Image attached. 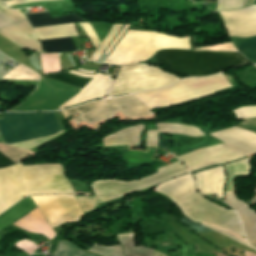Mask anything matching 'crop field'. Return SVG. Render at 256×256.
Here are the masks:
<instances>
[{
  "mask_svg": "<svg viewBox=\"0 0 256 256\" xmlns=\"http://www.w3.org/2000/svg\"><path fill=\"white\" fill-rule=\"evenodd\" d=\"M65 193L72 190L58 165L22 167L19 163L0 169V214L29 195Z\"/></svg>",
  "mask_w": 256,
  "mask_h": 256,
  "instance_id": "crop-field-1",
  "label": "crop field"
},
{
  "mask_svg": "<svg viewBox=\"0 0 256 256\" xmlns=\"http://www.w3.org/2000/svg\"><path fill=\"white\" fill-rule=\"evenodd\" d=\"M240 53L160 50L156 53V64L179 75L203 76L247 64Z\"/></svg>",
  "mask_w": 256,
  "mask_h": 256,
  "instance_id": "crop-field-2",
  "label": "crop field"
},
{
  "mask_svg": "<svg viewBox=\"0 0 256 256\" xmlns=\"http://www.w3.org/2000/svg\"><path fill=\"white\" fill-rule=\"evenodd\" d=\"M35 142L62 132L53 112L20 113ZM19 113H3L0 119V143L15 145L34 142Z\"/></svg>",
  "mask_w": 256,
  "mask_h": 256,
  "instance_id": "crop-field-3",
  "label": "crop field"
},
{
  "mask_svg": "<svg viewBox=\"0 0 256 256\" xmlns=\"http://www.w3.org/2000/svg\"><path fill=\"white\" fill-rule=\"evenodd\" d=\"M230 87L222 73L203 78H187L165 89L133 94L149 109L183 103L189 99L200 97Z\"/></svg>",
  "mask_w": 256,
  "mask_h": 256,
  "instance_id": "crop-field-4",
  "label": "crop field"
},
{
  "mask_svg": "<svg viewBox=\"0 0 256 256\" xmlns=\"http://www.w3.org/2000/svg\"><path fill=\"white\" fill-rule=\"evenodd\" d=\"M125 117H145L154 115L143 106L133 95L86 103L80 107L61 111L64 118L79 113L73 121L77 124L86 121L90 124L109 119L118 111ZM89 124V125H90Z\"/></svg>",
  "mask_w": 256,
  "mask_h": 256,
  "instance_id": "crop-field-5",
  "label": "crop field"
},
{
  "mask_svg": "<svg viewBox=\"0 0 256 256\" xmlns=\"http://www.w3.org/2000/svg\"><path fill=\"white\" fill-rule=\"evenodd\" d=\"M145 65L122 67L110 90V97L132 93ZM179 80V77L146 65L133 93L161 88Z\"/></svg>",
  "mask_w": 256,
  "mask_h": 256,
  "instance_id": "crop-field-6",
  "label": "crop field"
},
{
  "mask_svg": "<svg viewBox=\"0 0 256 256\" xmlns=\"http://www.w3.org/2000/svg\"><path fill=\"white\" fill-rule=\"evenodd\" d=\"M155 174L146 178L125 182L116 179L92 182L91 185L100 204L109 203L128 193L152 186L160 181L173 178L188 170L179 161L156 169ZM119 199V198H118Z\"/></svg>",
  "mask_w": 256,
  "mask_h": 256,
  "instance_id": "crop-field-7",
  "label": "crop field"
},
{
  "mask_svg": "<svg viewBox=\"0 0 256 256\" xmlns=\"http://www.w3.org/2000/svg\"><path fill=\"white\" fill-rule=\"evenodd\" d=\"M176 204L194 222L216 224L243 236L239 218L233 210L221 208L197 193Z\"/></svg>",
  "mask_w": 256,
  "mask_h": 256,
  "instance_id": "crop-field-8",
  "label": "crop field"
},
{
  "mask_svg": "<svg viewBox=\"0 0 256 256\" xmlns=\"http://www.w3.org/2000/svg\"><path fill=\"white\" fill-rule=\"evenodd\" d=\"M155 33L128 30L104 62L114 65L138 63L154 53Z\"/></svg>",
  "mask_w": 256,
  "mask_h": 256,
  "instance_id": "crop-field-9",
  "label": "crop field"
},
{
  "mask_svg": "<svg viewBox=\"0 0 256 256\" xmlns=\"http://www.w3.org/2000/svg\"><path fill=\"white\" fill-rule=\"evenodd\" d=\"M51 227L66 222L79 221L83 216L74 198L69 195L31 197Z\"/></svg>",
  "mask_w": 256,
  "mask_h": 256,
  "instance_id": "crop-field-10",
  "label": "crop field"
},
{
  "mask_svg": "<svg viewBox=\"0 0 256 256\" xmlns=\"http://www.w3.org/2000/svg\"><path fill=\"white\" fill-rule=\"evenodd\" d=\"M246 157L229 146L219 142L194 151L178 159L191 171L215 164H224Z\"/></svg>",
  "mask_w": 256,
  "mask_h": 256,
  "instance_id": "crop-field-11",
  "label": "crop field"
},
{
  "mask_svg": "<svg viewBox=\"0 0 256 256\" xmlns=\"http://www.w3.org/2000/svg\"><path fill=\"white\" fill-rule=\"evenodd\" d=\"M31 28L27 20L18 22L0 10L1 35L19 47L43 52Z\"/></svg>",
  "mask_w": 256,
  "mask_h": 256,
  "instance_id": "crop-field-12",
  "label": "crop field"
},
{
  "mask_svg": "<svg viewBox=\"0 0 256 256\" xmlns=\"http://www.w3.org/2000/svg\"><path fill=\"white\" fill-rule=\"evenodd\" d=\"M220 13L229 36L247 38L256 35V5Z\"/></svg>",
  "mask_w": 256,
  "mask_h": 256,
  "instance_id": "crop-field-13",
  "label": "crop field"
},
{
  "mask_svg": "<svg viewBox=\"0 0 256 256\" xmlns=\"http://www.w3.org/2000/svg\"><path fill=\"white\" fill-rule=\"evenodd\" d=\"M75 74L77 76L90 78L93 77L92 80L87 83V85L79 92L78 95L73 97L72 99L68 100L61 106L60 108H65L68 106L80 104L84 101L103 97L104 94L108 93V88L110 86L111 80L109 76L102 75V74H96V75H84L81 73H77L74 71L68 72Z\"/></svg>",
  "mask_w": 256,
  "mask_h": 256,
  "instance_id": "crop-field-14",
  "label": "crop field"
},
{
  "mask_svg": "<svg viewBox=\"0 0 256 256\" xmlns=\"http://www.w3.org/2000/svg\"><path fill=\"white\" fill-rule=\"evenodd\" d=\"M211 136L248 155L256 152V134L241 128H230Z\"/></svg>",
  "mask_w": 256,
  "mask_h": 256,
  "instance_id": "crop-field-15",
  "label": "crop field"
},
{
  "mask_svg": "<svg viewBox=\"0 0 256 256\" xmlns=\"http://www.w3.org/2000/svg\"><path fill=\"white\" fill-rule=\"evenodd\" d=\"M193 176L196 180V190L202 195L217 193V198H223L226 177L221 166Z\"/></svg>",
  "mask_w": 256,
  "mask_h": 256,
  "instance_id": "crop-field-16",
  "label": "crop field"
},
{
  "mask_svg": "<svg viewBox=\"0 0 256 256\" xmlns=\"http://www.w3.org/2000/svg\"><path fill=\"white\" fill-rule=\"evenodd\" d=\"M194 180L188 175L180 176L158 185L154 190L164 193L175 203L196 193Z\"/></svg>",
  "mask_w": 256,
  "mask_h": 256,
  "instance_id": "crop-field-17",
  "label": "crop field"
},
{
  "mask_svg": "<svg viewBox=\"0 0 256 256\" xmlns=\"http://www.w3.org/2000/svg\"><path fill=\"white\" fill-rule=\"evenodd\" d=\"M144 127L142 124L132 127H127L116 133L102 138L104 147H117V146H135L139 145Z\"/></svg>",
  "mask_w": 256,
  "mask_h": 256,
  "instance_id": "crop-field-18",
  "label": "crop field"
},
{
  "mask_svg": "<svg viewBox=\"0 0 256 256\" xmlns=\"http://www.w3.org/2000/svg\"><path fill=\"white\" fill-rule=\"evenodd\" d=\"M226 201L238 211L242 218L249 243L256 246V213L251 207L239 201L235 194H227Z\"/></svg>",
  "mask_w": 256,
  "mask_h": 256,
  "instance_id": "crop-field-19",
  "label": "crop field"
},
{
  "mask_svg": "<svg viewBox=\"0 0 256 256\" xmlns=\"http://www.w3.org/2000/svg\"><path fill=\"white\" fill-rule=\"evenodd\" d=\"M157 131H145V146L158 149V132L165 131L171 133L184 134L194 137L203 136L204 133L181 124L164 122L160 124H156Z\"/></svg>",
  "mask_w": 256,
  "mask_h": 256,
  "instance_id": "crop-field-20",
  "label": "crop field"
},
{
  "mask_svg": "<svg viewBox=\"0 0 256 256\" xmlns=\"http://www.w3.org/2000/svg\"><path fill=\"white\" fill-rule=\"evenodd\" d=\"M34 207L36 206L33 200L28 197L8 209L6 212L0 215V231L29 212Z\"/></svg>",
  "mask_w": 256,
  "mask_h": 256,
  "instance_id": "crop-field-21",
  "label": "crop field"
},
{
  "mask_svg": "<svg viewBox=\"0 0 256 256\" xmlns=\"http://www.w3.org/2000/svg\"><path fill=\"white\" fill-rule=\"evenodd\" d=\"M32 27L37 26H47L51 24H63L69 22H80L83 21L77 15H69L61 18L51 19L48 13H38V14H25Z\"/></svg>",
  "mask_w": 256,
  "mask_h": 256,
  "instance_id": "crop-field-22",
  "label": "crop field"
},
{
  "mask_svg": "<svg viewBox=\"0 0 256 256\" xmlns=\"http://www.w3.org/2000/svg\"><path fill=\"white\" fill-rule=\"evenodd\" d=\"M33 30L40 40L67 36H78L72 24L35 28Z\"/></svg>",
  "mask_w": 256,
  "mask_h": 256,
  "instance_id": "crop-field-23",
  "label": "crop field"
},
{
  "mask_svg": "<svg viewBox=\"0 0 256 256\" xmlns=\"http://www.w3.org/2000/svg\"><path fill=\"white\" fill-rule=\"evenodd\" d=\"M179 220L182 221L185 226H187L188 228H190L191 230H193L195 232H215V231H217V232H219V233H221V234H223V235H225V236H227V237H229V238H231V239H233V240H235V241H237V242H239V243H241V244H243L245 246H248L245 243L243 238H241V237H239V236H237V235H235V234H233V233H231V232H229V231H227V230H225V229H223V228H221L219 226L211 225V224H205L206 226H208V227L212 228L213 230H215V231H213L212 229H210V228L206 227L205 225H203L204 223L203 224H201V223H194L190 219L186 218V216L180 218Z\"/></svg>",
  "mask_w": 256,
  "mask_h": 256,
  "instance_id": "crop-field-24",
  "label": "crop field"
},
{
  "mask_svg": "<svg viewBox=\"0 0 256 256\" xmlns=\"http://www.w3.org/2000/svg\"><path fill=\"white\" fill-rule=\"evenodd\" d=\"M125 256H152V249L134 246V233L117 235Z\"/></svg>",
  "mask_w": 256,
  "mask_h": 256,
  "instance_id": "crop-field-25",
  "label": "crop field"
},
{
  "mask_svg": "<svg viewBox=\"0 0 256 256\" xmlns=\"http://www.w3.org/2000/svg\"><path fill=\"white\" fill-rule=\"evenodd\" d=\"M165 48H182L189 49V37L174 38L163 34L156 33L155 50Z\"/></svg>",
  "mask_w": 256,
  "mask_h": 256,
  "instance_id": "crop-field-26",
  "label": "crop field"
},
{
  "mask_svg": "<svg viewBox=\"0 0 256 256\" xmlns=\"http://www.w3.org/2000/svg\"><path fill=\"white\" fill-rule=\"evenodd\" d=\"M230 39L239 52H242L251 63H256V37L249 39Z\"/></svg>",
  "mask_w": 256,
  "mask_h": 256,
  "instance_id": "crop-field-27",
  "label": "crop field"
},
{
  "mask_svg": "<svg viewBox=\"0 0 256 256\" xmlns=\"http://www.w3.org/2000/svg\"><path fill=\"white\" fill-rule=\"evenodd\" d=\"M228 174L226 193H235L234 176L248 175L246 159L225 165Z\"/></svg>",
  "mask_w": 256,
  "mask_h": 256,
  "instance_id": "crop-field-28",
  "label": "crop field"
},
{
  "mask_svg": "<svg viewBox=\"0 0 256 256\" xmlns=\"http://www.w3.org/2000/svg\"><path fill=\"white\" fill-rule=\"evenodd\" d=\"M45 53L66 52L76 50L71 38L40 41Z\"/></svg>",
  "mask_w": 256,
  "mask_h": 256,
  "instance_id": "crop-field-29",
  "label": "crop field"
},
{
  "mask_svg": "<svg viewBox=\"0 0 256 256\" xmlns=\"http://www.w3.org/2000/svg\"><path fill=\"white\" fill-rule=\"evenodd\" d=\"M71 243L68 241H60L53 253V256H96L94 254L84 252L82 249Z\"/></svg>",
  "mask_w": 256,
  "mask_h": 256,
  "instance_id": "crop-field-30",
  "label": "crop field"
},
{
  "mask_svg": "<svg viewBox=\"0 0 256 256\" xmlns=\"http://www.w3.org/2000/svg\"><path fill=\"white\" fill-rule=\"evenodd\" d=\"M44 77H47L49 79H52L64 84L80 87V88H83L85 84L91 80V79L77 77L68 73H60V74L49 75Z\"/></svg>",
  "mask_w": 256,
  "mask_h": 256,
  "instance_id": "crop-field-31",
  "label": "crop field"
},
{
  "mask_svg": "<svg viewBox=\"0 0 256 256\" xmlns=\"http://www.w3.org/2000/svg\"><path fill=\"white\" fill-rule=\"evenodd\" d=\"M122 24H114L111 30L109 31L108 35L105 37V39L100 43V45L97 47L96 51L93 53V55L88 59V61L96 62L97 59L100 57L101 53L104 51V49L109 45V43L114 39V37L117 35L118 31L120 30Z\"/></svg>",
  "mask_w": 256,
  "mask_h": 256,
  "instance_id": "crop-field-32",
  "label": "crop field"
},
{
  "mask_svg": "<svg viewBox=\"0 0 256 256\" xmlns=\"http://www.w3.org/2000/svg\"><path fill=\"white\" fill-rule=\"evenodd\" d=\"M5 78L33 80V81L39 80V76L37 74H35L33 71L24 67L21 64L17 68H15L9 75H7Z\"/></svg>",
  "mask_w": 256,
  "mask_h": 256,
  "instance_id": "crop-field-33",
  "label": "crop field"
},
{
  "mask_svg": "<svg viewBox=\"0 0 256 256\" xmlns=\"http://www.w3.org/2000/svg\"><path fill=\"white\" fill-rule=\"evenodd\" d=\"M89 251L101 256H123L121 246L103 247L94 244Z\"/></svg>",
  "mask_w": 256,
  "mask_h": 256,
  "instance_id": "crop-field-34",
  "label": "crop field"
},
{
  "mask_svg": "<svg viewBox=\"0 0 256 256\" xmlns=\"http://www.w3.org/2000/svg\"><path fill=\"white\" fill-rule=\"evenodd\" d=\"M243 0H218L217 11L233 10L242 7Z\"/></svg>",
  "mask_w": 256,
  "mask_h": 256,
  "instance_id": "crop-field-35",
  "label": "crop field"
},
{
  "mask_svg": "<svg viewBox=\"0 0 256 256\" xmlns=\"http://www.w3.org/2000/svg\"><path fill=\"white\" fill-rule=\"evenodd\" d=\"M82 211H87L99 207L96 197H76Z\"/></svg>",
  "mask_w": 256,
  "mask_h": 256,
  "instance_id": "crop-field-36",
  "label": "crop field"
},
{
  "mask_svg": "<svg viewBox=\"0 0 256 256\" xmlns=\"http://www.w3.org/2000/svg\"><path fill=\"white\" fill-rule=\"evenodd\" d=\"M239 120L256 118V107H243L234 110Z\"/></svg>",
  "mask_w": 256,
  "mask_h": 256,
  "instance_id": "crop-field-37",
  "label": "crop field"
},
{
  "mask_svg": "<svg viewBox=\"0 0 256 256\" xmlns=\"http://www.w3.org/2000/svg\"><path fill=\"white\" fill-rule=\"evenodd\" d=\"M83 30L86 32L87 36L89 37L94 49H96V47L99 45V40L95 34V32L93 31V29L91 28V26L89 25V23H83V24H79Z\"/></svg>",
  "mask_w": 256,
  "mask_h": 256,
  "instance_id": "crop-field-38",
  "label": "crop field"
},
{
  "mask_svg": "<svg viewBox=\"0 0 256 256\" xmlns=\"http://www.w3.org/2000/svg\"><path fill=\"white\" fill-rule=\"evenodd\" d=\"M0 9L4 12H6L7 14L11 15L12 17H14L15 19L21 21V20H25L24 16L20 13L19 10H10L8 8H6L2 2L0 1Z\"/></svg>",
  "mask_w": 256,
  "mask_h": 256,
  "instance_id": "crop-field-39",
  "label": "crop field"
},
{
  "mask_svg": "<svg viewBox=\"0 0 256 256\" xmlns=\"http://www.w3.org/2000/svg\"><path fill=\"white\" fill-rule=\"evenodd\" d=\"M48 58H49V68L51 71L61 70L59 67L58 54H48Z\"/></svg>",
  "mask_w": 256,
  "mask_h": 256,
  "instance_id": "crop-field-40",
  "label": "crop field"
},
{
  "mask_svg": "<svg viewBox=\"0 0 256 256\" xmlns=\"http://www.w3.org/2000/svg\"><path fill=\"white\" fill-rule=\"evenodd\" d=\"M237 127L248 129L256 133V119H247L240 123Z\"/></svg>",
  "mask_w": 256,
  "mask_h": 256,
  "instance_id": "crop-field-41",
  "label": "crop field"
},
{
  "mask_svg": "<svg viewBox=\"0 0 256 256\" xmlns=\"http://www.w3.org/2000/svg\"><path fill=\"white\" fill-rule=\"evenodd\" d=\"M96 34L98 35L100 41L104 39V37L107 35L104 28L102 27L101 23L93 24L90 23Z\"/></svg>",
  "mask_w": 256,
  "mask_h": 256,
  "instance_id": "crop-field-42",
  "label": "crop field"
},
{
  "mask_svg": "<svg viewBox=\"0 0 256 256\" xmlns=\"http://www.w3.org/2000/svg\"><path fill=\"white\" fill-rule=\"evenodd\" d=\"M37 1H47V0H5V1H3V3L6 6L10 7V6H14V5L37 2Z\"/></svg>",
  "mask_w": 256,
  "mask_h": 256,
  "instance_id": "crop-field-43",
  "label": "crop field"
},
{
  "mask_svg": "<svg viewBox=\"0 0 256 256\" xmlns=\"http://www.w3.org/2000/svg\"><path fill=\"white\" fill-rule=\"evenodd\" d=\"M14 163H12L10 160H8L5 156H3L0 153V168L1 167H6V166H10L13 165Z\"/></svg>",
  "mask_w": 256,
  "mask_h": 256,
  "instance_id": "crop-field-44",
  "label": "crop field"
},
{
  "mask_svg": "<svg viewBox=\"0 0 256 256\" xmlns=\"http://www.w3.org/2000/svg\"><path fill=\"white\" fill-rule=\"evenodd\" d=\"M255 195L253 198L250 199L251 204H256V186L254 188Z\"/></svg>",
  "mask_w": 256,
  "mask_h": 256,
  "instance_id": "crop-field-45",
  "label": "crop field"
},
{
  "mask_svg": "<svg viewBox=\"0 0 256 256\" xmlns=\"http://www.w3.org/2000/svg\"><path fill=\"white\" fill-rule=\"evenodd\" d=\"M254 1L255 0H245L244 7L253 4Z\"/></svg>",
  "mask_w": 256,
  "mask_h": 256,
  "instance_id": "crop-field-46",
  "label": "crop field"
},
{
  "mask_svg": "<svg viewBox=\"0 0 256 256\" xmlns=\"http://www.w3.org/2000/svg\"><path fill=\"white\" fill-rule=\"evenodd\" d=\"M244 256H256V254L244 251Z\"/></svg>",
  "mask_w": 256,
  "mask_h": 256,
  "instance_id": "crop-field-47",
  "label": "crop field"
},
{
  "mask_svg": "<svg viewBox=\"0 0 256 256\" xmlns=\"http://www.w3.org/2000/svg\"><path fill=\"white\" fill-rule=\"evenodd\" d=\"M153 256H165V255H163V254H161V253H159V252L154 250Z\"/></svg>",
  "mask_w": 256,
  "mask_h": 256,
  "instance_id": "crop-field-48",
  "label": "crop field"
},
{
  "mask_svg": "<svg viewBox=\"0 0 256 256\" xmlns=\"http://www.w3.org/2000/svg\"><path fill=\"white\" fill-rule=\"evenodd\" d=\"M125 24H127V23H124L123 26H124ZM123 26H122V27H123ZM121 29H122V28H121ZM109 53H110V52H109Z\"/></svg>",
  "mask_w": 256,
  "mask_h": 256,
  "instance_id": "crop-field-49",
  "label": "crop field"
},
{
  "mask_svg": "<svg viewBox=\"0 0 256 256\" xmlns=\"http://www.w3.org/2000/svg\"><path fill=\"white\" fill-rule=\"evenodd\" d=\"M77 69H78V68H77ZM77 69H75V70H77ZM75 70H74V71H75ZM94 73H95V71H94ZM94 73H93V74H94Z\"/></svg>",
  "mask_w": 256,
  "mask_h": 256,
  "instance_id": "crop-field-50",
  "label": "crop field"
},
{
  "mask_svg": "<svg viewBox=\"0 0 256 256\" xmlns=\"http://www.w3.org/2000/svg\"><path fill=\"white\" fill-rule=\"evenodd\" d=\"M256 67V65H254Z\"/></svg>",
  "mask_w": 256,
  "mask_h": 256,
  "instance_id": "crop-field-51",
  "label": "crop field"
}]
</instances>
